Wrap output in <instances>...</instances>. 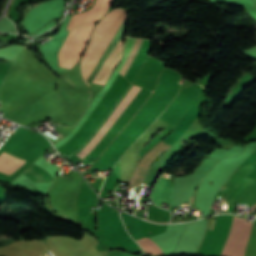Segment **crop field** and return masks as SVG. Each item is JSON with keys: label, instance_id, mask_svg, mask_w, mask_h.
I'll return each instance as SVG.
<instances>
[{"label": "crop field", "instance_id": "crop-field-1", "mask_svg": "<svg viewBox=\"0 0 256 256\" xmlns=\"http://www.w3.org/2000/svg\"><path fill=\"white\" fill-rule=\"evenodd\" d=\"M119 10L120 8L113 10L98 23L95 29V32L92 36V39L81 59V66L83 65V63L85 62V60L87 59V57L89 56V54L91 53V51L93 50V48L95 47L99 39L102 37V35L104 34V32L106 31V29L108 28V26L110 25V23L112 22V20L114 19V17L116 16ZM122 56H123V45L121 40L118 46L116 47L115 51L113 52V54L111 55V57L109 58L105 66L103 67V69L101 70L100 74L94 81V83L104 85V83L108 79L113 69L121 60Z\"/></svg>", "mask_w": 256, "mask_h": 256}, {"label": "crop field", "instance_id": "crop-field-2", "mask_svg": "<svg viewBox=\"0 0 256 256\" xmlns=\"http://www.w3.org/2000/svg\"><path fill=\"white\" fill-rule=\"evenodd\" d=\"M93 25L94 22L85 23L73 29L59 57L60 67L70 69L79 60L89 39Z\"/></svg>", "mask_w": 256, "mask_h": 256}, {"label": "crop field", "instance_id": "crop-field-3", "mask_svg": "<svg viewBox=\"0 0 256 256\" xmlns=\"http://www.w3.org/2000/svg\"><path fill=\"white\" fill-rule=\"evenodd\" d=\"M99 224L110 246H137L115 213L99 212Z\"/></svg>", "mask_w": 256, "mask_h": 256}, {"label": "crop field", "instance_id": "crop-field-4", "mask_svg": "<svg viewBox=\"0 0 256 256\" xmlns=\"http://www.w3.org/2000/svg\"><path fill=\"white\" fill-rule=\"evenodd\" d=\"M139 87L133 85L131 90L128 92L123 101L118 105V107L113 111V113L109 116V118L104 122V124L99 128L96 134L92 137L89 143L83 148V150L79 153V155L86 156L87 153L99 142V140L103 137V135L107 132V130L111 127V125L115 122V120L119 117L122 111L126 108V106L130 103L136 93L139 91Z\"/></svg>", "mask_w": 256, "mask_h": 256}, {"label": "crop field", "instance_id": "crop-field-5", "mask_svg": "<svg viewBox=\"0 0 256 256\" xmlns=\"http://www.w3.org/2000/svg\"><path fill=\"white\" fill-rule=\"evenodd\" d=\"M111 2L112 0H96L95 5L92 9L88 10L85 13L73 15L67 29L71 30L72 28L83 22L95 21L100 19L101 16L106 12Z\"/></svg>", "mask_w": 256, "mask_h": 256}, {"label": "crop field", "instance_id": "crop-field-6", "mask_svg": "<svg viewBox=\"0 0 256 256\" xmlns=\"http://www.w3.org/2000/svg\"><path fill=\"white\" fill-rule=\"evenodd\" d=\"M9 155L19 159L20 161H22L28 165L31 163V162L27 161L26 159H24L23 157H21L17 154H14L12 152H10ZM13 157H10L8 155L0 153V169L17 175L24 168H26L27 165L23 164L22 162L18 161L17 159H15Z\"/></svg>", "mask_w": 256, "mask_h": 256}, {"label": "crop field", "instance_id": "crop-field-7", "mask_svg": "<svg viewBox=\"0 0 256 256\" xmlns=\"http://www.w3.org/2000/svg\"><path fill=\"white\" fill-rule=\"evenodd\" d=\"M23 174L28 176L33 182H51L54 178L44 169L32 164Z\"/></svg>", "mask_w": 256, "mask_h": 256}, {"label": "crop field", "instance_id": "crop-field-8", "mask_svg": "<svg viewBox=\"0 0 256 256\" xmlns=\"http://www.w3.org/2000/svg\"><path fill=\"white\" fill-rule=\"evenodd\" d=\"M135 40H136V38H129V39L126 40V43H125V57H124L122 63H121V64L119 65V67L116 69L117 71H119L120 68H121V67L123 66V64L125 63V61H126L128 55H129V53H130V51H131V49H132V47H133V45H134V43H135ZM132 63H133V62H132ZM131 65H132V64H131ZM130 67H131V66H130Z\"/></svg>", "mask_w": 256, "mask_h": 256}, {"label": "crop field", "instance_id": "crop-field-9", "mask_svg": "<svg viewBox=\"0 0 256 256\" xmlns=\"http://www.w3.org/2000/svg\"><path fill=\"white\" fill-rule=\"evenodd\" d=\"M251 140H256V127L253 129V131L247 135L245 138L242 139V141L249 142Z\"/></svg>", "mask_w": 256, "mask_h": 256}, {"label": "crop field", "instance_id": "crop-field-10", "mask_svg": "<svg viewBox=\"0 0 256 256\" xmlns=\"http://www.w3.org/2000/svg\"><path fill=\"white\" fill-rule=\"evenodd\" d=\"M216 221H217V220L211 219V220H210V224H209V228L214 229V228H215Z\"/></svg>", "mask_w": 256, "mask_h": 256}, {"label": "crop field", "instance_id": "crop-field-11", "mask_svg": "<svg viewBox=\"0 0 256 256\" xmlns=\"http://www.w3.org/2000/svg\"><path fill=\"white\" fill-rule=\"evenodd\" d=\"M169 149V147L156 159V161Z\"/></svg>", "mask_w": 256, "mask_h": 256}, {"label": "crop field", "instance_id": "crop-field-12", "mask_svg": "<svg viewBox=\"0 0 256 256\" xmlns=\"http://www.w3.org/2000/svg\"><path fill=\"white\" fill-rule=\"evenodd\" d=\"M0 189H3V188H0Z\"/></svg>", "mask_w": 256, "mask_h": 256}]
</instances>
